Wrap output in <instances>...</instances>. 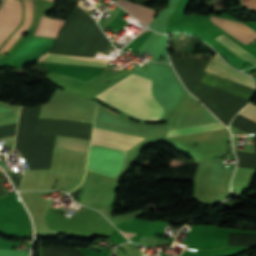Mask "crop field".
<instances>
[{
    "label": "crop field",
    "mask_w": 256,
    "mask_h": 256,
    "mask_svg": "<svg viewBox=\"0 0 256 256\" xmlns=\"http://www.w3.org/2000/svg\"><path fill=\"white\" fill-rule=\"evenodd\" d=\"M150 84V79L131 74L96 97L136 117L158 120L163 109L152 96Z\"/></svg>",
    "instance_id": "1"
},
{
    "label": "crop field",
    "mask_w": 256,
    "mask_h": 256,
    "mask_svg": "<svg viewBox=\"0 0 256 256\" xmlns=\"http://www.w3.org/2000/svg\"><path fill=\"white\" fill-rule=\"evenodd\" d=\"M25 7V19L23 25L12 35L5 47L1 52L7 51L10 46L15 42L18 36L26 30L31 23V10L32 1L22 0ZM3 6V0H2ZM1 6V9H2ZM0 9V10H1ZM22 6L19 0H5L3 9L0 11V46L8 36V34L14 29V27L20 22ZM20 37V36H19ZM17 41V40H16ZM12 47V46H11Z\"/></svg>",
    "instance_id": "2"
},
{
    "label": "crop field",
    "mask_w": 256,
    "mask_h": 256,
    "mask_svg": "<svg viewBox=\"0 0 256 256\" xmlns=\"http://www.w3.org/2000/svg\"><path fill=\"white\" fill-rule=\"evenodd\" d=\"M125 155V152L91 146L86 170L116 178L124 163Z\"/></svg>",
    "instance_id": "3"
},
{
    "label": "crop field",
    "mask_w": 256,
    "mask_h": 256,
    "mask_svg": "<svg viewBox=\"0 0 256 256\" xmlns=\"http://www.w3.org/2000/svg\"><path fill=\"white\" fill-rule=\"evenodd\" d=\"M96 128H94L93 130L91 144L128 150L143 139V137L132 136Z\"/></svg>",
    "instance_id": "4"
},
{
    "label": "crop field",
    "mask_w": 256,
    "mask_h": 256,
    "mask_svg": "<svg viewBox=\"0 0 256 256\" xmlns=\"http://www.w3.org/2000/svg\"><path fill=\"white\" fill-rule=\"evenodd\" d=\"M229 67L215 53L214 57L209 62V64L207 65V67L204 71L256 90V88L253 84V81L250 77H248L238 71H235Z\"/></svg>",
    "instance_id": "5"
},
{
    "label": "crop field",
    "mask_w": 256,
    "mask_h": 256,
    "mask_svg": "<svg viewBox=\"0 0 256 256\" xmlns=\"http://www.w3.org/2000/svg\"><path fill=\"white\" fill-rule=\"evenodd\" d=\"M210 20L213 24L244 44H248L256 39V32L240 22L212 16H210Z\"/></svg>",
    "instance_id": "6"
},
{
    "label": "crop field",
    "mask_w": 256,
    "mask_h": 256,
    "mask_svg": "<svg viewBox=\"0 0 256 256\" xmlns=\"http://www.w3.org/2000/svg\"><path fill=\"white\" fill-rule=\"evenodd\" d=\"M64 21L65 20L63 19L50 18L41 15L33 35L56 38L58 30Z\"/></svg>",
    "instance_id": "7"
},
{
    "label": "crop field",
    "mask_w": 256,
    "mask_h": 256,
    "mask_svg": "<svg viewBox=\"0 0 256 256\" xmlns=\"http://www.w3.org/2000/svg\"><path fill=\"white\" fill-rule=\"evenodd\" d=\"M109 59H87L79 57L46 55L42 61L104 67Z\"/></svg>",
    "instance_id": "8"
},
{
    "label": "crop field",
    "mask_w": 256,
    "mask_h": 256,
    "mask_svg": "<svg viewBox=\"0 0 256 256\" xmlns=\"http://www.w3.org/2000/svg\"><path fill=\"white\" fill-rule=\"evenodd\" d=\"M117 2L127 11H129L135 18L146 25H148L154 17V11L148 7H144L126 0H118Z\"/></svg>",
    "instance_id": "9"
},
{
    "label": "crop field",
    "mask_w": 256,
    "mask_h": 256,
    "mask_svg": "<svg viewBox=\"0 0 256 256\" xmlns=\"http://www.w3.org/2000/svg\"><path fill=\"white\" fill-rule=\"evenodd\" d=\"M217 42H219L221 45H223L225 48H227L229 51H231L233 54H235L237 57H239L241 60L250 61L252 64L256 65V58H254L251 54H249L247 51L242 49L240 46L232 42L230 39H228L223 34L213 38Z\"/></svg>",
    "instance_id": "10"
},
{
    "label": "crop field",
    "mask_w": 256,
    "mask_h": 256,
    "mask_svg": "<svg viewBox=\"0 0 256 256\" xmlns=\"http://www.w3.org/2000/svg\"><path fill=\"white\" fill-rule=\"evenodd\" d=\"M89 140L56 136L54 147L87 152Z\"/></svg>",
    "instance_id": "11"
},
{
    "label": "crop field",
    "mask_w": 256,
    "mask_h": 256,
    "mask_svg": "<svg viewBox=\"0 0 256 256\" xmlns=\"http://www.w3.org/2000/svg\"><path fill=\"white\" fill-rule=\"evenodd\" d=\"M223 128L225 127L222 126L220 123H215V124H208V125H201V126L172 129L168 131L166 137L181 135V134H188V133H195V132H202V131H209V130H216V129H223Z\"/></svg>",
    "instance_id": "12"
},
{
    "label": "crop field",
    "mask_w": 256,
    "mask_h": 256,
    "mask_svg": "<svg viewBox=\"0 0 256 256\" xmlns=\"http://www.w3.org/2000/svg\"><path fill=\"white\" fill-rule=\"evenodd\" d=\"M239 114L256 122V105L250 102Z\"/></svg>",
    "instance_id": "13"
},
{
    "label": "crop field",
    "mask_w": 256,
    "mask_h": 256,
    "mask_svg": "<svg viewBox=\"0 0 256 256\" xmlns=\"http://www.w3.org/2000/svg\"><path fill=\"white\" fill-rule=\"evenodd\" d=\"M19 112V108L17 109H12V110H7V111H1L0 112V117H5V116H10V115H16Z\"/></svg>",
    "instance_id": "14"
},
{
    "label": "crop field",
    "mask_w": 256,
    "mask_h": 256,
    "mask_svg": "<svg viewBox=\"0 0 256 256\" xmlns=\"http://www.w3.org/2000/svg\"><path fill=\"white\" fill-rule=\"evenodd\" d=\"M14 151H16V150L14 149ZM14 151H13V152H14ZM16 152H17V151H16ZM17 154H18V152H17ZM18 155H19V154H18ZM19 156H20V155H19Z\"/></svg>",
    "instance_id": "15"
},
{
    "label": "crop field",
    "mask_w": 256,
    "mask_h": 256,
    "mask_svg": "<svg viewBox=\"0 0 256 256\" xmlns=\"http://www.w3.org/2000/svg\"><path fill=\"white\" fill-rule=\"evenodd\" d=\"M53 1H55V0H53Z\"/></svg>",
    "instance_id": "16"
}]
</instances>
